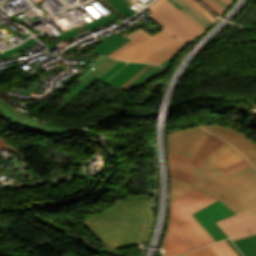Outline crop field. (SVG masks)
I'll list each match as a JSON object with an SVG mask.
<instances>
[{"label": "crop field", "instance_id": "crop-field-1", "mask_svg": "<svg viewBox=\"0 0 256 256\" xmlns=\"http://www.w3.org/2000/svg\"><path fill=\"white\" fill-rule=\"evenodd\" d=\"M245 159L234 147L224 144L193 173L202 180L191 185L171 178L170 201L197 187L231 208L236 214L247 210L256 215V169L245 168L229 176L220 170Z\"/></svg>", "mask_w": 256, "mask_h": 256}, {"label": "crop field", "instance_id": "crop-field-5", "mask_svg": "<svg viewBox=\"0 0 256 256\" xmlns=\"http://www.w3.org/2000/svg\"><path fill=\"white\" fill-rule=\"evenodd\" d=\"M224 143L226 142L220 140L214 135H211L204 141L193 159L168 152L169 170L171 177L184 180L189 184L200 180L191 174L204 162V160L211 153H213L219 146Z\"/></svg>", "mask_w": 256, "mask_h": 256}, {"label": "crop field", "instance_id": "crop-field-19", "mask_svg": "<svg viewBox=\"0 0 256 256\" xmlns=\"http://www.w3.org/2000/svg\"><path fill=\"white\" fill-rule=\"evenodd\" d=\"M116 18H118L117 16H115L114 14H110V15H107V16H105V17H102V18H100V19H98V20H96V21H93V22H91V23H89V24H86V26L90 29V30H92V29H94V28H97V27H99V26H102V25H104V24H106V23H108V22H111L112 20H114V19H116ZM84 26V25H83ZM82 27V26H81ZM80 28V27H79Z\"/></svg>", "mask_w": 256, "mask_h": 256}, {"label": "crop field", "instance_id": "crop-field-27", "mask_svg": "<svg viewBox=\"0 0 256 256\" xmlns=\"http://www.w3.org/2000/svg\"><path fill=\"white\" fill-rule=\"evenodd\" d=\"M117 1L119 4H121L126 10H128L132 15L136 14L133 10H131L127 5L126 2H124L123 0H115Z\"/></svg>", "mask_w": 256, "mask_h": 256}, {"label": "crop field", "instance_id": "crop-field-6", "mask_svg": "<svg viewBox=\"0 0 256 256\" xmlns=\"http://www.w3.org/2000/svg\"><path fill=\"white\" fill-rule=\"evenodd\" d=\"M211 134L200 126L170 134L167 139L168 151L193 157L202 142Z\"/></svg>", "mask_w": 256, "mask_h": 256}, {"label": "crop field", "instance_id": "crop-field-29", "mask_svg": "<svg viewBox=\"0 0 256 256\" xmlns=\"http://www.w3.org/2000/svg\"><path fill=\"white\" fill-rule=\"evenodd\" d=\"M215 2H217L219 5H221L223 8H225L227 10V8L229 7L227 4H225L222 0H214Z\"/></svg>", "mask_w": 256, "mask_h": 256}, {"label": "crop field", "instance_id": "crop-field-10", "mask_svg": "<svg viewBox=\"0 0 256 256\" xmlns=\"http://www.w3.org/2000/svg\"><path fill=\"white\" fill-rule=\"evenodd\" d=\"M232 214L234 213L229 208L217 201L192 215L207 229L214 239L218 241L227 238V236L213 221Z\"/></svg>", "mask_w": 256, "mask_h": 256}, {"label": "crop field", "instance_id": "crop-field-11", "mask_svg": "<svg viewBox=\"0 0 256 256\" xmlns=\"http://www.w3.org/2000/svg\"><path fill=\"white\" fill-rule=\"evenodd\" d=\"M119 61L105 59L97 65L83 80L72 90L71 94L63 102L61 109L68 107L77 97H79L89 86H91L99 77L105 74Z\"/></svg>", "mask_w": 256, "mask_h": 256}, {"label": "crop field", "instance_id": "crop-field-22", "mask_svg": "<svg viewBox=\"0 0 256 256\" xmlns=\"http://www.w3.org/2000/svg\"><path fill=\"white\" fill-rule=\"evenodd\" d=\"M186 1L189 2L191 5H193L200 12H202L213 23L215 22L216 18L203 5H201L198 1H196V0H186Z\"/></svg>", "mask_w": 256, "mask_h": 256}, {"label": "crop field", "instance_id": "crop-field-12", "mask_svg": "<svg viewBox=\"0 0 256 256\" xmlns=\"http://www.w3.org/2000/svg\"><path fill=\"white\" fill-rule=\"evenodd\" d=\"M163 68L158 67V66H152V65H147L144 67L141 71H139L136 75H134L131 79H129L126 83H124L119 89L125 88L128 84H132L135 87L136 86H141L144 82H146L148 79L151 77L161 73ZM137 87V88H138Z\"/></svg>", "mask_w": 256, "mask_h": 256}, {"label": "crop field", "instance_id": "crop-field-30", "mask_svg": "<svg viewBox=\"0 0 256 256\" xmlns=\"http://www.w3.org/2000/svg\"><path fill=\"white\" fill-rule=\"evenodd\" d=\"M223 1L226 2L230 6L234 0H223Z\"/></svg>", "mask_w": 256, "mask_h": 256}, {"label": "crop field", "instance_id": "crop-field-21", "mask_svg": "<svg viewBox=\"0 0 256 256\" xmlns=\"http://www.w3.org/2000/svg\"><path fill=\"white\" fill-rule=\"evenodd\" d=\"M184 256H217V255L210 248V246L207 245L201 249L186 253V254H184Z\"/></svg>", "mask_w": 256, "mask_h": 256}, {"label": "crop field", "instance_id": "crop-field-15", "mask_svg": "<svg viewBox=\"0 0 256 256\" xmlns=\"http://www.w3.org/2000/svg\"><path fill=\"white\" fill-rule=\"evenodd\" d=\"M174 1L183 7L180 10H182L184 13H186L188 16H190L192 19H194L204 28L207 29L213 24L210 20H208L203 14H201L198 10H196L193 6H191L185 0H174Z\"/></svg>", "mask_w": 256, "mask_h": 256}, {"label": "crop field", "instance_id": "crop-field-14", "mask_svg": "<svg viewBox=\"0 0 256 256\" xmlns=\"http://www.w3.org/2000/svg\"><path fill=\"white\" fill-rule=\"evenodd\" d=\"M130 39L125 36H120L118 34L113 35L106 42L102 43L101 46L95 48L91 53L107 55L116 49L120 48L122 45L127 43Z\"/></svg>", "mask_w": 256, "mask_h": 256}, {"label": "crop field", "instance_id": "crop-field-8", "mask_svg": "<svg viewBox=\"0 0 256 256\" xmlns=\"http://www.w3.org/2000/svg\"><path fill=\"white\" fill-rule=\"evenodd\" d=\"M209 132L228 141L237 148L256 167V144L242 133L219 125H201Z\"/></svg>", "mask_w": 256, "mask_h": 256}, {"label": "crop field", "instance_id": "crop-field-24", "mask_svg": "<svg viewBox=\"0 0 256 256\" xmlns=\"http://www.w3.org/2000/svg\"><path fill=\"white\" fill-rule=\"evenodd\" d=\"M126 63L125 62H120L117 64L115 67H113L110 71H108L105 75H103L101 78L104 77V80L102 81L103 83H106V80L111 77L114 73H116L120 68H122ZM99 78L98 81L101 79ZM107 84V83H106Z\"/></svg>", "mask_w": 256, "mask_h": 256}, {"label": "crop field", "instance_id": "crop-field-9", "mask_svg": "<svg viewBox=\"0 0 256 256\" xmlns=\"http://www.w3.org/2000/svg\"><path fill=\"white\" fill-rule=\"evenodd\" d=\"M216 223L232 241L256 234V216L253 217L247 211L224 218Z\"/></svg>", "mask_w": 256, "mask_h": 256}, {"label": "crop field", "instance_id": "crop-field-3", "mask_svg": "<svg viewBox=\"0 0 256 256\" xmlns=\"http://www.w3.org/2000/svg\"><path fill=\"white\" fill-rule=\"evenodd\" d=\"M151 221L148 196L115 201L112 208L85 220L114 250L146 242Z\"/></svg>", "mask_w": 256, "mask_h": 256}, {"label": "crop field", "instance_id": "crop-field-28", "mask_svg": "<svg viewBox=\"0 0 256 256\" xmlns=\"http://www.w3.org/2000/svg\"><path fill=\"white\" fill-rule=\"evenodd\" d=\"M229 244L230 246L232 247V249L239 255V256H243L238 250L237 248L233 245V243L229 240V239H225Z\"/></svg>", "mask_w": 256, "mask_h": 256}, {"label": "crop field", "instance_id": "crop-field-20", "mask_svg": "<svg viewBox=\"0 0 256 256\" xmlns=\"http://www.w3.org/2000/svg\"><path fill=\"white\" fill-rule=\"evenodd\" d=\"M248 166H251V164L248 162L247 159H245V160L239 161V162H237V163H235V164L225 168L222 171L225 174L229 175V174H231L233 172H236V171L241 170V169H243L245 167H248Z\"/></svg>", "mask_w": 256, "mask_h": 256}, {"label": "crop field", "instance_id": "crop-field-25", "mask_svg": "<svg viewBox=\"0 0 256 256\" xmlns=\"http://www.w3.org/2000/svg\"><path fill=\"white\" fill-rule=\"evenodd\" d=\"M76 29H78V28H75V29H73V30H71V31H69V32H67L63 35L57 36V37H59L61 40H63V39L67 40L69 38H72V37L78 35V33L76 32L77 31Z\"/></svg>", "mask_w": 256, "mask_h": 256}, {"label": "crop field", "instance_id": "crop-field-13", "mask_svg": "<svg viewBox=\"0 0 256 256\" xmlns=\"http://www.w3.org/2000/svg\"><path fill=\"white\" fill-rule=\"evenodd\" d=\"M144 66L146 65L138 63H129L115 76L109 79L107 83L118 88L129 78H131L134 74H136L139 70H141Z\"/></svg>", "mask_w": 256, "mask_h": 256}, {"label": "crop field", "instance_id": "crop-field-17", "mask_svg": "<svg viewBox=\"0 0 256 256\" xmlns=\"http://www.w3.org/2000/svg\"><path fill=\"white\" fill-rule=\"evenodd\" d=\"M211 248L216 252L218 256H238L229 246V244L223 240L210 244Z\"/></svg>", "mask_w": 256, "mask_h": 256}, {"label": "crop field", "instance_id": "crop-field-4", "mask_svg": "<svg viewBox=\"0 0 256 256\" xmlns=\"http://www.w3.org/2000/svg\"><path fill=\"white\" fill-rule=\"evenodd\" d=\"M214 201L216 200L195 188L170 202V222L163 245L164 256L181 254L215 242L191 215Z\"/></svg>", "mask_w": 256, "mask_h": 256}, {"label": "crop field", "instance_id": "crop-field-26", "mask_svg": "<svg viewBox=\"0 0 256 256\" xmlns=\"http://www.w3.org/2000/svg\"><path fill=\"white\" fill-rule=\"evenodd\" d=\"M6 146L9 149H11L12 151H15L17 153V155L21 154L16 148H14L13 146L9 145L7 142H5L3 139L0 138V148L6 147Z\"/></svg>", "mask_w": 256, "mask_h": 256}, {"label": "crop field", "instance_id": "crop-field-32", "mask_svg": "<svg viewBox=\"0 0 256 256\" xmlns=\"http://www.w3.org/2000/svg\"><path fill=\"white\" fill-rule=\"evenodd\" d=\"M182 256V255H181Z\"/></svg>", "mask_w": 256, "mask_h": 256}, {"label": "crop field", "instance_id": "crop-field-18", "mask_svg": "<svg viewBox=\"0 0 256 256\" xmlns=\"http://www.w3.org/2000/svg\"><path fill=\"white\" fill-rule=\"evenodd\" d=\"M34 41L35 40L31 38L27 42L23 43L22 45H20L16 48H13V49H10V50H5V51L1 50L0 51V59L15 56L16 55L15 52L21 51L23 49H26V48L32 46Z\"/></svg>", "mask_w": 256, "mask_h": 256}, {"label": "crop field", "instance_id": "crop-field-16", "mask_svg": "<svg viewBox=\"0 0 256 256\" xmlns=\"http://www.w3.org/2000/svg\"><path fill=\"white\" fill-rule=\"evenodd\" d=\"M234 244L245 256H256V235L234 241Z\"/></svg>", "mask_w": 256, "mask_h": 256}, {"label": "crop field", "instance_id": "crop-field-2", "mask_svg": "<svg viewBox=\"0 0 256 256\" xmlns=\"http://www.w3.org/2000/svg\"><path fill=\"white\" fill-rule=\"evenodd\" d=\"M148 9L153 12L147 16L164 29L152 36L140 28L127 36L131 41L108 56L159 65L206 30L168 0H158Z\"/></svg>", "mask_w": 256, "mask_h": 256}, {"label": "crop field", "instance_id": "crop-field-31", "mask_svg": "<svg viewBox=\"0 0 256 256\" xmlns=\"http://www.w3.org/2000/svg\"><path fill=\"white\" fill-rule=\"evenodd\" d=\"M169 1H171V2L176 6V7H178V6H179V5H178V4H176L174 1H172V0H169ZM178 8L180 9V8H182V7H180V6H179Z\"/></svg>", "mask_w": 256, "mask_h": 256}, {"label": "crop field", "instance_id": "crop-field-7", "mask_svg": "<svg viewBox=\"0 0 256 256\" xmlns=\"http://www.w3.org/2000/svg\"><path fill=\"white\" fill-rule=\"evenodd\" d=\"M0 112L7 117L8 119L14 121L17 124H20L22 126H25L27 128L39 130L42 132H45L49 135L61 137L63 135L69 134L71 132L75 131H82L84 132V129H74V128H62V127H56L47 125L44 123H40L35 119L29 118L25 116L24 114L20 113L7 103H5L2 99H0Z\"/></svg>", "mask_w": 256, "mask_h": 256}, {"label": "crop field", "instance_id": "crop-field-23", "mask_svg": "<svg viewBox=\"0 0 256 256\" xmlns=\"http://www.w3.org/2000/svg\"><path fill=\"white\" fill-rule=\"evenodd\" d=\"M204 2L207 6H209L212 11H214L218 15H223L226 10H224L222 7H220L218 4H216L213 0H201Z\"/></svg>", "mask_w": 256, "mask_h": 256}]
</instances>
